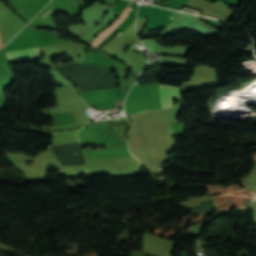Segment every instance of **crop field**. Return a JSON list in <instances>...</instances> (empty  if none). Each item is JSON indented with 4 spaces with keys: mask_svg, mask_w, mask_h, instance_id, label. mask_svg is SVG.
<instances>
[{
    "mask_svg": "<svg viewBox=\"0 0 256 256\" xmlns=\"http://www.w3.org/2000/svg\"><path fill=\"white\" fill-rule=\"evenodd\" d=\"M161 107H172V102L177 98L176 87L162 86L159 84Z\"/></svg>",
    "mask_w": 256,
    "mask_h": 256,
    "instance_id": "3",
    "label": "crop field"
},
{
    "mask_svg": "<svg viewBox=\"0 0 256 256\" xmlns=\"http://www.w3.org/2000/svg\"><path fill=\"white\" fill-rule=\"evenodd\" d=\"M70 65H75V64H70ZM57 66H62V65H57Z\"/></svg>",
    "mask_w": 256,
    "mask_h": 256,
    "instance_id": "6",
    "label": "crop field"
},
{
    "mask_svg": "<svg viewBox=\"0 0 256 256\" xmlns=\"http://www.w3.org/2000/svg\"><path fill=\"white\" fill-rule=\"evenodd\" d=\"M8 56L9 61H14L22 58L33 57L41 55V51L38 47L25 49V50H18L6 53Z\"/></svg>",
    "mask_w": 256,
    "mask_h": 256,
    "instance_id": "4",
    "label": "crop field"
},
{
    "mask_svg": "<svg viewBox=\"0 0 256 256\" xmlns=\"http://www.w3.org/2000/svg\"><path fill=\"white\" fill-rule=\"evenodd\" d=\"M132 11V9L126 7L123 13L116 20H114L113 24L99 33L97 37L91 41L90 45L96 48Z\"/></svg>",
    "mask_w": 256,
    "mask_h": 256,
    "instance_id": "2",
    "label": "crop field"
},
{
    "mask_svg": "<svg viewBox=\"0 0 256 256\" xmlns=\"http://www.w3.org/2000/svg\"><path fill=\"white\" fill-rule=\"evenodd\" d=\"M46 17H47V16H46ZM46 17H45V18H46ZM45 18H44V19H45ZM44 19H43V20H44ZM43 20H42V21H43ZM42 21H41V22H42Z\"/></svg>",
    "mask_w": 256,
    "mask_h": 256,
    "instance_id": "7",
    "label": "crop field"
},
{
    "mask_svg": "<svg viewBox=\"0 0 256 256\" xmlns=\"http://www.w3.org/2000/svg\"><path fill=\"white\" fill-rule=\"evenodd\" d=\"M146 18H137V35L142 31L144 28L145 20Z\"/></svg>",
    "mask_w": 256,
    "mask_h": 256,
    "instance_id": "5",
    "label": "crop field"
},
{
    "mask_svg": "<svg viewBox=\"0 0 256 256\" xmlns=\"http://www.w3.org/2000/svg\"><path fill=\"white\" fill-rule=\"evenodd\" d=\"M130 120H131V126L127 131V140H128L129 149L132 155L138 158L141 161V163L148 168L137 115H131Z\"/></svg>",
    "mask_w": 256,
    "mask_h": 256,
    "instance_id": "1",
    "label": "crop field"
}]
</instances>
